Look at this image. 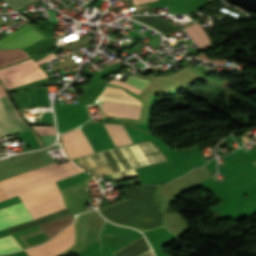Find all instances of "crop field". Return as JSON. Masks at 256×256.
<instances>
[{
  "label": "crop field",
  "mask_w": 256,
  "mask_h": 256,
  "mask_svg": "<svg viewBox=\"0 0 256 256\" xmlns=\"http://www.w3.org/2000/svg\"><path fill=\"white\" fill-rule=\"evenodd\" d=\"M78 168L77 167L72 168L70 170L50 176V178L52 179V181H56V180L83 172ZM50 178L47 177L45 179L36 181L34 183L25 185L23 187L11 190L9 192H6V194L8 195L9 198L14 197L21 193H24L29 190L35 189L37 187L43 186L45 184L51 183L52 181L50 180ZM58 197H61V194L55 182L47 186L38 188L36 190L19 195V198L21 199V201L24 202L27 209L40 205L42 203L48 202L50 200L56 199ZM65 208L66 207L64 205L63 198L61 197L56 200L50 201L48 203L42 204L32 209H29V212L34 217V219H36ZM73 220L74 219L70 213L66 216L41 224V226L53 237L59 231H61L63 228H65L67 225L73 222Z\"/></svg>",
  "instance_id": "1"
},
{
  "label": "crop field",
  "mask_w": 256,
  "mask_h": 256,
  "mask_svg": "<svg viewBox=\"0 0 256 256\" xmlns=\"http://www.w3.org/2000/svg\"><path fill=\"white\" fill-rule=\"evenodd\" d=\"M104 126L116 147L132 143L124 126L108 124H104ZM62 136L64 140V148L72 159L94 153V150L83 135L80 128H77Z\"/></svg>",
  "instance_id": "2"
},
{
  "label": "crop field",
  "mask_w": 256,
  "mask_h": 256,
  "mask_svg": "<svg viewBox=\"0 0 256 256\" xmlns=\"http://www.w3.org/2000/svg\"><path fill=\"white\" fill-rule=\"evenodd\" d=\"M75 167L70 161L59 164L58 162L44 166L42 168L18 175L16 177L4 180L0 182V189L3 188L4 191H9L11 189L20 187L22 185L31 183L33 181L42 179L44 177L53 175L55 173L67 170L69 168Z\"/></svg>",
  "instance_id": "3"
},
{
  "label": "crop field",
  "mask_w": 256,
  "mask_h": 256,
  "mask_svg": "<svg viewBox=\"0 0 256 256\" xmlns=\"http://www.w3.org/2000/svg\"><path fill=\"white\" fill-rule=\"evenodd\" d=\"M5 95L0 85V96ZM29 130L20 119L7 95L0 97V137Z\"/></svg>",
  "instance_id": "4"
},
{
  "label": "crop field",
  "mask_w": 256,
  "mask_h": 256,
  "mask_svg": "<svg viewBox=\"0 0 256 256\" xmlns=\"http://www.w3.org/2000/svg\"><path fill=\"white\" fill-rule=\"evenodd\" d=\"M39 32V31H38ZM29 24L0 40V48L26 47L45 37Z\"/></svg>",
  "instance_id": "5"
},
{
  "label": "crop field",
  "mask_w": 256,
  "mask_h": 256,
  "mask_svg": "<svg viewBox=\"0 0 256 256\" xmlns=\"http://www.w3.org/2000/svg\"><path fill=\"white\" fill-rule=\"evenodd\" d=\"M29 220L33 219L22 202L0 210V230Z\"/></svg>",
  "instance_id": "6"
},
{
  "label": "crop field",
  "mask_w": 256,
  "mask_h": 256,
  "mask_svg": "<svg viewBox=\"0 0 256 256\" xmlns=\"http://www.w3.org/2000/svg\"><path fill=\"white\" fill-rule=\"evenodd\" d=\"M141 108L142 107L109 102H104L102 105L103 112L108 115L134 119L139 118Z\"/></svg>",
  "instance_id": "7"
},
{
  "label": "crop field",
  "mask_w": 256,
  "mask_h": 256,
  "mask_svg": "<svg viewBox=\"0 0 256 256\" xmlns=\"http://www.w3.org/2000/svg\"><path fill=\"white\" fill-rule=\"evenodd\" d=\"M21 249L22 247L11 235L0 238V254H6Z\"/></svg>",
  "instance_id": "8"
},
{
  "label": "crop field",
  "mask_w": 256,
  "mask_h": 256,
  "mask_svg": "<svg viewBox=\"0 0 256 256\" xmlns=\"http://www.w3.org/2000/svg\"><path fill=\"white\" fill-rule=\"evenodd\" d=\"M27 57L21 49L0 50V65Z\"/></svg>",
  "instance_id": "9"
},
{
  "label": "crop field",
  "mask_w": 256,
  "mask_h": 256,
  "mask_svg": "<svg viewBox=\"0 0 256 256\" xmlns=\"http://www.w3.org/2000/svg\"><path fill=\"white\" fill-rule=\"evenodd\" d=\"M184 29L194 39V41L199 46V48H208L209 47L205 38L202 36V34L199 32V30L196 28V26L194 24H192Z\"/></svg>",
  "instance_id": "10"
},
{
  "label": "crop field",
  "mask_w": 256,
  "mask_h": 256,
  "mask_svg": "<svg viewBox=\"0 0 256 256\" xmlns=\"http://www.w3.org/2000/svg\"><path fill=\"white\" fill-rule=\"evenodd\" d=\"M125 82L143 90L144 87L148 84L149 80H145V79L127 75Z\"/></svg>",
  "instance_id": "11"
},
{
  "label": "crop field",
  "mask_w": 256,
  "mask_h": 256,
  "mask_svg": "<svg viewBox=\"0 0 256 256\" xmlns=\"http://www.w3.org/2000/svg\"><path fill=\"white\" fill-rule=\"evenodd\" d=\"M39 135H55L54 126H32Z\"/></svg>",
  "instance_id": "12"
},
{
  "label": "crop field",
  "mask_w": 256,
  "mask_h": 256,
  "mask_svg": "<svg viewBox=\"0 0 256 256\" xmlns=\"http://www.w3.org/2000/svg\"><path fill=\"white\" fill-rule=\"evenodd\" d=\"M109 84H113V85H117V86H122L125 89H127L129 91H132V92H134V93H136L138 95L142 92L141 90H139V89H137V88H135V87L125 83V82L118 81V80H115V79L109 81Z\"/></svg>",
  "instance_id": "13"
},
{
  "label": "crop field",
  "mask_w": 256,
  "mask_h": 256,
  "mask_svg": "<svg viewBox=\"0 0 256 256\" xmlns=\"http://www.w3.org/2000/svg\"><path fill=\"white\" fill-rule=\"evenodd\" d=\"M9 5H11L15 10L27 5L33 0H5Z\"/></svg>",
  "instance_id": "14"
},
{
  "label": "crop field",
  "mask_w": 256,
  "mask_h": 256,
  "mask_svg": "<svg viewBox=\"0 0 256 256\" xmlns=\"http://www.w3.org/2000/svg\"><path fill=\"white\" fill-rule=\"evenodd\" d=\"M194 24H195V25L197 26V28L201 31V33L204 35V37L206 38V40H207L209 46L213 45L212 42L210 41L208 35H207L206 32L201 28V26L198 24V22H196V23H194Z\"/></svg>",
  "instance_id": "15"
},
{
  "label": "crop field",
  "mask_w": 256,
  "mask_h": 256,
  "mask_svg": "<svg viewBox=\"0 0 256 256\" xmlns=\"http://www.w3.org/2000/svg\"><path fill=\"white\" fill-rule=\"evenodd\" d=\"M5 199H8V197L6 196V194L3 192V190H0V201H3Z\"/></svg>",
  "instance_id": "16"
},
{
  "label": "crop field",
  "mask_w": 256,
  "mask_h": 256,
  "mask_svg": "<svg viewBox=\"0 0 256 256\" xmlns=\"http://www.w3.org/2000/svg\"><path fill=\"white\" fill-rule=\"evenodd\" d=\"M143 238H144V237H143ZM141 239H142V238H141ZM139 240H140V239H139ZM137 241H138V240H137ZM135 242H136V241H135ZM133 243H134V242H133ZM133 243H132V244H133ZM130 245H131V244H130ZM128 246H129V245H128ZM126 247H127V246H126ZM124 248H125V247H124ZM124 248H123V249H124ZM121 250H122V249H121ZM119 251H120V250H119ZM117 252H118V251H117ZM115 253H116V252H115ZM113 254H114V253H113Z\"/></svg>",
  "instance_id": "17"
},
{
  "label": "crop field",
  "mask_w": 256,
  "mask_h": 256,
  "mask_svg": "<svg viewBox=\"0 0 256 256\" xmlns=\"http://www.w3.org/2000/svg\"><path fill=\"white\" fill-rule=\"evenodd\" d=\"M252 164L256 166V161H255V162H252Z\"/></svg>",
  "instance_id": "18"
},
{
  "label": "crop field",
  "mask_w": 256,
  "mask_h": 256,
  "mask_svg": "<svg viewBox=\"0 0 256 256\" xmlns=\"http://www.w3.org/2000/svg\"><path fill=\"white\" fill-rule=\"evenodd\" d=\"M2 156H5V155H0V157H2Z\"/></svg>",
  "instance_id": "19"
}]
</instances>
